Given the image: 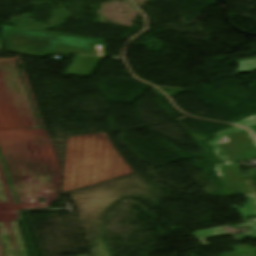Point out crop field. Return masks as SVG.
Returning <instances> with one entry per match:
<instances>
[{"instance_id": "crop-field-1", "label": "crop field", "mask_w": 256, "mask_h": 256, "mask_svg": "<svg viewBox=\"0 0 256 256\" xmlns=\"http://www.w3.org/2000/svg\"><path fill=\"white\" fill-rule=\"evenodd\" d=\"M134 173L111 146L107 134L69 138L62 192Z\"/></svg>"}, {"instance_id": "crop-field-2", "label": "crop field", "mask_w": 256, "mask_h": 256, "mask_svg": "<svg viewBox=\"0 0 256 256\" xmlns=\"http://www.w3.org/2000/svg\"><path fill=\"white\" fill-rule=\"evenodd\" d=\"M3 37L10 52L47 56L57 54H82L103 56L100 41L51 35L3 26Z\"/></svg>"}, {"instance_id": "crop-field-3", "label": "crop field", "mask_w": 256, "mask_h": 256, "mask_svg": "<svg viewBox=\"0 0 256 256\" xmlns=\"http://www.w3.org/2000/svg\"><path fill=\"white\" fill-rule=\"evenodd\" d=\"M236 129L237 131H233ZM222 136H225L222 138ZM215 148L218 156L220 150L227 159H220L233 164L239 161L256 158V142L243 128H233L218 134L217 138L209 143Z\"/></svg>"}, {"instance_id": "crop-field-4", "label": "crop field", "mask_w": 256, "mask_h": 256, "mask_svg": "<svg viewBox=\"0 0 256 256\" xmlns=\"http://www.w3.org/2000/svg\"><path fill=\"white\" fill-rule=\"evenodd\" d=\"M218 169L222 175L226 188H236L242 195L251 194L244 179L256 177V169L250 170V175L241 176L236 164L220 165Z\"/></svg>"}, {"instance_id": "crop-field-5", "label": "crop field", "mask_w": 256, "mask_h": 256, "mask_svg": "<svg viewBox=\"0 0 256 256\" xmlns=\"http://www.w3.org/2000/svg\"><path fill=\"white\" fill-rule=\"evenodd\" d=\"M251 220L253 222H250ZM251 220H243L245 224L233 226L235 229L248 227L251 233L240 234V235L228 234L223 231V228H217V229L199 231V232L194 233V235L202 243V245L204 247L210 246V244L206 241V239L219 237V236H225V235L232 236L236 241L245 240L246 237H250L253 240H256V220H253V219H251ZM252 229H254V230H252Z\"/></svg>"}, {"instance_id": "crop-field-6", "label": "crop field", "mask_w": 256, "mask_h": 256, "mask_svg": "<svg viewBox=\"0 0 256 256\" xmlns=\"http://www.w3.org/2000/svg\"><path fill=\"white\" fill-rule=\"evenodd\" d=\"M103 58L104 57L76 56L66 74L90 77Z\"/></svg>"}, {"instance_id": "crop-field-7", "label": "crop field", "mask_w": 256, "mask_h": 256, "mask_svg": "<svg viewBox=\"0 0 256 256\" xmlns=\"http://www.w3.org/2000/svg\"><path fill=\"white\" fill-rule=\"evenodd\" d=\"M248 204L242 205L243 208L238 209L236 206H233V211L237 210L243 219L249 218V215L253 218L256 216V200L254 196H243Z\"/></svg>"}, {"instance_id": "crop-field-8", "label": "crop field", "mask_w": 256, "mask_h": 256, "mask_svg": "<svg viewBox=\"0 0 256 256\" xmlns=\"http://www.w3.org/2000/svg\"><path fill=\"white\" fill-rule=\"evenodd\" d=\"M235 252L222 254V256H256V249L251 246L242 245L232 248Z\"/></svg>"}, {"instance_id": "crop-field-9", "label": "crop field", "mask_w": 256, "mask_h": 256, "mask_svg": "<svg viewBox=\"0 0 256 256\" xmlns=\"http://www.w3.org/2000/svg\"><path fill=\"white\" fill-rule=\"evenodd\" d=\"M240 65V74L256 71V58L237 61Z\"/></svg>"}, {"instance_id": "crop-field-10", "label": "crop field", "mask_w": 256, "mask_h": 256, "mask_svg": "<svg viewBox=\"0 0 256 256\" xmlns=\"http://www.w3.org/2000/svg\"><path fill=\"white\" fill-rule=\"evenodd\" d=\"M245 181H246V180H245ZM246 183H247V185H248V187H249L251 193H252V194H256V192H255L256 187H255L254 183L251 181V179H249L248 181H246Z\"/></svg>"}, {"instance_id": "crop-field-11", "label": "crop field", "mask_w": 256, "mask_h": 256, "mask_svg": "<svg viewBox=\"0 0 256 256\" xmlns=\"http://www.w3.org/2000/svg\"><path fill=\"white\" fill-rule=\"evenodd\" d=\"M256 119V116H253V117H250V118H248V119H245V120H243V121H241V122H238V123H236V124H240V125H244V126H246V125H251V124H256V122H253V123H249V124H246L245 122H247V121H251V120H255Z\"/></svg>"}, {"instance_id": "crop-field-12", "label": "crop field", "mask_w": 256, "mask_h": 256, "mask_svg": "<svg viewBox=\"0 0 256 256\" xmlns=\"http://www.w3.org/2000/svg\"><path fill=\"white\" fill-rule=\"evenodd\" d=\"M256 121V120H255ZM252 122V121H251ZM248 123V122H247ZM248 128H250L256 135V125H251V126H247Z\"/></svg>"}, {"instance_id": "crop-field-13", "label": "crop field", "mask_w": 256, "mask_h": 256, "mask_svg": "<svg viewBox=\"0 0 256 256\" xmlns=\"http://www.w3.org/2000/svg\"><path fill=\"white\" fill-rule=\"evenodd\" d=\"M8 62L7 59H0V63Z\"/></svg>"}]
</instances>
